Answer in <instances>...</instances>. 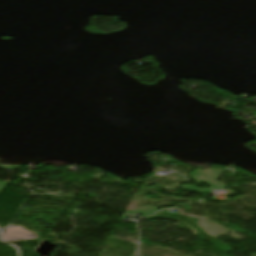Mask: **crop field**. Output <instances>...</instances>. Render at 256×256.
Listing matches in <instances>:
<instances>
[{"label": "crop field", "mask_w": 256, "mask_h": 256, "mask_svg": "<svg viewBox=\"0 0 256 256\" xmlns=\"http://www.w3.org/2000/svg\"><path fill=\"white\" fill-rule=\"evenodd\" d=\"M36 238H38L36 233H29L21 227H10L2 235V240L5 242Z\"/></svg>", "instance_id": "8a807250"}]
</instances>
